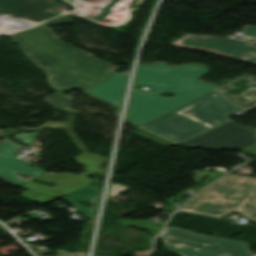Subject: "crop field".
Here are the masks:
<instances>
[{
    "mask_svg": "<svg viewBox=\"0 0 256 256\" xmlns=\"http://www.w3.org/2000/svg\"><path fill=\"white\" fill-rule=\"evenodd\" d=\"M126 189H128V187L122 186V185H117V184H112L109 196H115Z\"/></svg>",
    "mask_w": 256,
    "mask_h": 256,
    "instance_id": "20",
    "label": "crop field"
},
{
    "mask_svg": "<svg viewBox=\"0 0 256 256\" xmlns=\"http://www.w3.org/2000/svg\"><path fill=\"white\" fill-rule=\"evenodd\" d=\"M243 35L256 36V27L245 26Z\"/></svg>",
    "mask_w": 256,
    "mask_h": 256,
    "instance_id": "23",
    "label": "crop field"
},
{
    "mask_svg": "<svg viewBox=\"0 0 256 256\" xmlns=\"http://www.w3.org/2000/svg\"><path fill=\"white\" fill-rule=\"evenodd\" d=\"M240 79H249L250 83L247 86H251L249 89L245 90L242 93V96L240 97H233V96H229L225 93V91L232 89L234 87L230 86L232 83L240 80ZM217 90L223 94L230 102L244 108L247 109L249 111H251L252 109H254L256 107V96H251L250 93L255 92L256 91V77L250 76L248 74H245L231 82L228 83V85H224L221 86L219 88H217ZM242 98H247L248 102L246 103H241V102H237V100L242 99ZM234 99L235 101L231 100Z\"/></svg>",
    "mask_w": 256,
    "mask_h": 256,
    "instance_id": "14",
    "label": "crop field"
},
{
    "mask_svg": "<svg viewBox=\"0 0 256 256\" xmlns=\"http://www.w3.org/2000/svg\"><path fill=\"white\" fill-rule=\"evenodd\" d=\"M235 212L256 222V199L246 197L245 200L235 209Z\"/></svg>",
    "mask_w": 256,
    "mask_h": 256,
    "instance_id": "17",
    "label": "crop field"
},
{
    "mask_svg": "<svg viewBox=\"0 0 256 256\" xmlns=\"http://www.w3.org/2000/svg\"><path fill=\"white\" fill-rule=\"evenodd\" d=\"M70 21L72 20L69 16H63L21 33L100 83L117 73L115 72V65L100 60L86 51L69 45L59 39L49 29V26L52 24Z\"/></svg>",
    "mask_w": 256,
    "mask_h": 256,
    "instance_id": "3",
    "label": "crop field"
},
{
    "mask_svg": "<svg viewBox=\"0 0 256 256\" xmlns=\"http://www.w3.org/2000/svg\"><path fill=\"white\" fill-rule=\"evenodd\" d=\"M172 43L174 46L208 50L256 63V48L243 40L186 35Z\"/></svg>",
    "mask_w": 256,
    "mask_h": 256,
    "instance_id": "8",
    "label": "crop field"
},
{
    "mask_svg": "<svg viewBox=\"0 0 256 256\" xmlns=\"http://www.w3.org/2000/svg\"><path fill=\"white\" fill-rule=\"evenodd\" d=\"M166 248L182 256H254L246 243L222 240L167 227L159 235Z\"/></svg>",
    "mask_w": 256,
    "mask_h": 256,
    "instance_id": "5",
    "label": "crop field"
},
{
    "mask_svg": "<svg viewBox=\"0 0 256 256\" xmlns=\"http://www.w3.org/2000/svg\"><path fill=\"white\" fill-rule=\"evenodd\" d=\"M44 102L51 106L56 111L65 109L69 107V103L72 100V97H64L60 94H52L45 97Z\"/></svg>",
    "mask_w": 256,
    "mask_h": 256,
    "instance_id": "18",
    "label": "crop field"
},
{
    "mask_svg": "<svg viewBox=\"0 0 256 256\" xmlns=\"http://www.w3.org/2000/svg\"><path fill=\"white\" fill-rule=\"evenodd\" d=\"M75 159H77L78 163L87 166L85 168L87 170L86 173H84L80 176L73 175V174H48V173H46V174L38 177V179H40V180L58 184L52 188L44 186V185H40V184L31 182V181H29L27 183H31V184L38 185L41 187H45V188H49V189L56 190L59 192H63L65 194H69L87 184L94 182V181L89 180L85 176L92 174L94 172L105 173V171H106L103 169H98V166L101 163L106 162L108 160L107 158L100 157V156L90 154V153H84V154L76 157Z\"/></svg>",
    "mask_w": 256,
    "mask_h": 256,
    "instance_id": "9",
    "label": "crop field"
},
{
    "mask_svg": "<svg viewBox=\"0 0 256 256\" xmlns=\"http://www.w3.org/2000/svg\"><path fill=\"white\" fill-rule=\"evenodd\" d=\"M9 38L25 51L26 56L33 63L49 75V84L54 88L64 91H70L72 88L86 90L99 84L21 34L17 33L9 36ZM40 63H44L48 67L40 65Z\"/></svg>",
    "mask_w": 256,
    "mask_h": 256,
    "instance_id": "6",
    "label": "crop field"
},
{
    "mask_svg": "<svg viewBox=\"0 0 256 256\" xmlns=\"http://www.w3.org/2000/svg\"><path fill=\"white\" fill-rule=\"evenodd\" d=\"M45 127L49 128H66L67 124L65 122H50L45 125Z\"/></svg>",
    "mask_w": 256,
    "mask_h": 256,
    "instance_id": "22",
    "label": "crop field"
},
{
    "mask_svg": "<svg viewBox=\"0 0 256 256\" xmlns=\"http://www.w3.org/2000/svg\"><path fill=\"white\" fill-rule=\"evenodd\" d=\"M37 131L38 129L29 130V129L21 128V129L15 130L10 134H6L3 136L15 142L16 144L26 148L31 146Z\"/></svg>",
    "mask_w": 256,
    "mask_h": 256,
    "instance_id": "15",
    "label": "crop field"
},
{
    "mask_svg": "<svg viewBox=\"0 0 256 256\" xmlns=\"http://www.w3.org/2000/svg\"><path fill=\"white\" fill-rule=\"evenodd\" d=\"M50 6L54 9L52 0H0V15L28 20Z\"/></svg>",
    "mask_w": 256,
    "mask_h": 256,
    "instance_id": "11",
    "label": "crop field"
},
{
    "mask_svg": "<svg viewBox=\"0 0 256 256\" xmlns=\"http://www.w3.org/2000/svg\"><path fill=\"white\" fill-rule=\"evenodd\" d=\"M4 132H5V130L0 129V133H4Z\"/></svg>",
    "mask_w": 256,
    "mask_h": 256,
    "instance_id": "26",
    "label": "crop field"
},
{
    "mask_svg": "<svg viewBox=\"0 0 256 256\" xmlns=\"http://www.w3.org/2000/svg\"><path fill=\"white\" fill-rule=\"evenodd\" d=\"M22 187H26V188L30 189L29 191L23 193V197L35 200L40 203H45L51 199H54V198L62 195V194H58L55 192H51V191L41 189L38 187H34L31 185H27V184L22 185Z\"/></svg>",
    "mask_w": 256,
    "mask_h": 256,
    "instance_id": "16",
    "label": "crop field"
},
{
    "mask_svg": "<svg viewBox=\"0 0 256 256\" xmlns=\"http://www.w3.org/2000/svg\"><path fill=\"white\" fill-rule=\"evenodd\" d=\"M256 143V129L229 121L180 144L208 150H242Z\"/></svg>",
    "mask_w": 256,
    "mask_h": 256,
    "instance_id": "7",
    "label": "crop field"
},
{
    "mask_svg": "<svg viewBox=\"0 0 256 256\" xmlns=\"http://www.w3.org/2000/svg\"><path fill=\"white\" fill-rule=\"evenodd\" d=\"M256 187V179L228 175L191 199L183 211L220 217L234 211Z\"/></svg>",
    "mask_w": 256,
    "mask_h": 256,
    "instance_id": "4",
    "label": "crop field"
},
{
    "mask_svg": "<svg viewBox=\"0 0 256 256\" xmlns=\"http://www.w3.org/2000/svg\"><path fill=\"white\" fill-rule=\"evenodd\" d=\"M246 111L222 96L216 89L142 125L141 128L180 143L230 120L225 115Z\"/></svg>",
    "mask_w": 256,
    "mask_h": 256,
    "instance_id": "2",
    "label": "crop field"
},
{
    "mask_svg": "<svg viewBox=\"0 0 256 256\" xmlns=\"http://www.w3.org/2000/svg\"><path fill=\"white\" fill-rule=\"evenodd\" d=\"M100 192H101V190H98L90 185H87V186L69 194V196H67L64 199L67 200L68 202L72 203L75 206V208L79 210L80 213L90 217L92 219V221H94L96 210L82 207L80 204H78L75 201L76 200L87 201L92 204L98 205ZM79 198H82V200H80Z\"/></svg>",
    "mask_w": 256,
    "mask_h": 256,
    "instance_id": "13",
    "label": "crop field"
},
{
    "mask_svg": "<svg viewBox=\"0 0 256 256\" xmlns=\"http://www.w3.org/2000/svg\"><path fill=\"white\" fill-rule=\"evenodd\" d=\"M2 152L0 153V177L5 178L15 185L19 186L27 180L14 174V172H21L29 176L37 178L38 176L46 173L45 170L37 167H30L18 160L13 156V152L20 147L8 142L0 144Z\"/></svg>",
    "mask_w": 256,
    "mask_h": 256,
    "instance_id": "10",
    "label": "crop field"
},
{
    "mask_svg": "<svg viewBox=\"0 0 256 256\" xmlns=\"http://www.w3.org/2000/svg\"><path fill=\"white\" fill-rule=\"evenodd\" d=\"M207 72V66L196 64L177 67L165 64L139 66L134 87L146 85L156 93L133 91L128 120L140 125L218 87L199 82L200 75ZM165 92L176 95L158 96Z\"/></svg>",
    "mask_w": 256,
    "mask_h": 256,
    "instance_id": "1",
    "label": "crop field"
},
{
    "mask_svg": "<svg viewBox=\"0 0 256 256\" xmlns=\"http://www.w3.org/2000/svg\"><path fill=\"white\" fill-rule=\"evenodd\" d=\"M250 196H255L256 197V188L249 194Z\"/></svg>",
    "mask_w": 256,
    "mask_h": 256,
    "instance_id": "24",
    "label": "crop field"
},
{
    "mask_svg": "<svg viewBox=\"0 0 256 256\" xmlns=\"http://www.w3.org/2000/svg\"><path fill=\"white\" fill-rule=\"evenodd\" d=\"M55 16V10H53L52 8L48 9L46 13L40 15L39 17H36V18H32L30 19V21H36V22H40V21H43V20H46L48 18H51ZM41 23V22H40Z\"/></svg>",
    "mask_w": 256,
    "mask_h": 256,
    "instance_id": "19",
    "label": "crop field"
},
{
    "mask_svg": "<svg viewBox=\"0 0 256 256\" xmlns=\"http://www.w3.org/2000/svg\"><path fill=\"white\" fill-rule=\"evenodd\" d=\"M126 80V75L117 73L103 83L85 92L119 108Z\"/></svg>",
    "mask_w": 256,
    "mask_h": 256,
    "instance_id": "12",
    "label": "crop field"
},
{
    "mask_svg": "<svg viewBox=\"0 0 256 256\" xmlns=\"http://www.w3.org/2000/svg\"><path fill=\"white\" fill-rule=\"evenodd\" d=\"M0 230H2L4 232H7V230L3 226H1V225H0Z\"/></svg>",
    "mask_w": 256,
    "mask_h": 256,
    "instance_id": "25",
    "label": "crop field"
},
{
    "mask_svg": "<svg viewBox=\"0 0 256 256\" xmlns=\"http://www.w3.org/2000/svg\"><path fill=\"white\" fill-rule=\"evenodd\" d=\"M57 252L59 253V255H57V256H86V254L84 252L69 253L64 250H59Z\"/></svg>",
    "mask_w": 256,
    "mask_h": 256,
    "instance_id": "21",
    "label": "crop field"
}]
</instances>
